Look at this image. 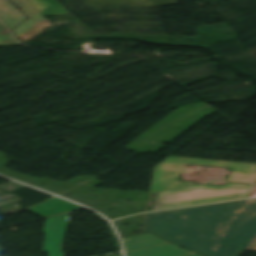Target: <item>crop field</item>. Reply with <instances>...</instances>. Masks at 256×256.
<instances>
[{
    "label": "crop field",
    "mask_w": 256,
    "mask_h": 256,
    "mask_svg": "<svg viewBox=\"0 0 256 256\" xmlns=\"http://www.w3.org/2000/svg\"><path fill=\"white\" fill-rule=\"evenodd\" d=\"M186 164L230 168L234 172L227 181L256 182V164L169 157L154 169L150 192L158 195L152 211L249 197L253 185H193L178 181L180 173L185 172Z\"/></svg>",
    "instance_id": "8a807250"
},
{
    "label": "crop field",
    "mask_w": 256,
    "mask_h": 256,
    "mask_svg": "<svg viewBox=\"0 0 256 256\" xmlns=\"http://www.w3.org/2000/svg\"><path fill=\"white\" fill-rule=\"evenodd\" d=\"M173 211L207 230L256 251V199Z\"/></svg>",
    "instance_id": "ac0d7876"
},
{
    "label": "crop field",
    "mask_w": 256,
    "mask_h": 256,
    "mask_svg": "<svg viewBox=\"0 0 256 256\" xmlns=\"http://www.w3.org/2000/svg\"><path fill=\"white\" fill-rule=\"evenodd\" d=\"M141 229L204 256H238L244 250H249L191 223L172 211L146 214Z\"/></svg>",
    "instance_id": "34b2d1b8"
},
{
    "label": "crop field",
    "mask_w": 256,
    "mask_h": 256,
    "mask_svg": "<svg viewBox=\"0 0 256 256\" xmlns=\"http://www.w3.org/2000/svg\"><path fill=\"white\" fill-rule=\"evenodd\" d=\"M126 256H201L150 234L123 240Z\"/></svg>",
    "instance_id": "412701ff"
},
{
    "label": "crop field",
    "mask_w": 256,
    "mask_h": 256,
    "mask_svg": "<svg viewBox=\"0 0 256 256\" xmlns=\"http://www.w3.org/2000/svg\"><path fill=\"white\" fill-rule=\"evenodd\" d=\"M69 214L49 218L46 220L44 233H47L43 251L50 252V256H65L61 252L68 222Z\"/></svg>",
    "instance_id": "f4fd0767"
},
{
    "label": "crop field",
    "mask_w": 256,
    "mask_h": 256,
    "mask_svg": "<svg viewBox=\"0 0 256 256\" xmlns=\"http://www.w3.org/2000/svg\"><path fill=\"white\" fill-rule=\"evenodd\" d=\"M78 209H83L82 207H79L75 204H72L70 202H67L63 199H60L58 197L52 198L50 201L43 203L39 206H36L34 208L28 209L42 217L60 214L64 212L74 211Z\"/></svg>",
    "instance_id": "dd49c442"
},
{
    "label": "crop field",
    "mask_w": 256,
    "mask_h": 256,
    "mask_svg": "<svg viewBox=\"0 0 256 256\" xmlns=\"http://www.w3.org/2000/svg\"><path fill=\"white\" fill-rule=\"evenodd\" d=\"M16 4L30 19L14 30L17 37L26 31L32 25L39 23L46 18L28 1V0H11Z\"/></svg>",
    "instance_id": "e52e79f7"
},
{
    "label": "crop field",
    "mask_w": 256,
    "mask_h": 256,
    "mask_svg": "<svg viewBox=\"0 0 256 256\" xmlns=\"http://www.w3.org/2000/svg\"><path fill=\"white\" fill-rule=\"evenodd\" d=\"M27 17L22 14L8 0H0V20L10 29L20 22L26 20ZM18 26V25H17Z\"/></svg>",
    "instance_id": "d8731c3e"
},
{
    "label": "crop field",
    "mask_w": 256,
    "mask_h": 256,
    "mask_svg": "<svg viewBox=\"0 0 256 256\" xmlns=\"http://www.w3.org/2000/svg\"><path fill=\"white\" fill-rule=\"evenodd\" d=\"M43 15L70 13L56 0H29Z\"/></svg>",
    "instance_id": "5a996713"
},
{
    "label": "crop field",
    "mask_w": 256,
    "mask_h": 256,
    "mask_svg": "<svg viewBox=\"0 0 256 256\" xmlns=\"http://www.w3.org/2000/svg\"><path fill=\"white\" fill-rule=\"evenodd\" d=\"M50 25V22L48 20L43 21L37 25L32 26L29 28L26 32H24L21 36L18 38L24 42L36 35H38L40 32H42L45 28H47ZM31 40V39H30ZM29 41V40H28ZM27 42V41H26Z\"/></svg>",
    "instance_id": "3316defc"
},
{
    "label": "crop field",
    "mask_w": 256,
    "mask_h": 256,
    "mask_svg": "<svg viewBox=\"0 0 256 256\" xmlns=\"http://www.w3.org/2000/svg\"><path fill=\"white\" fill-rule=\"evenodd\" d=\"M19 44L11 33L0 23V46Z\"/></svg>",
    "instance_id": "28ad6ade"
},
{
    "label": "crop field",
    "mask_w": 256,
    "mask_h": 256,
    "mask_svg": "<svg viewBox=\"0 0 256 256\" xmlns=\"http://www.w3.org/2000/svg\"><path fill=\"white\" fill-rule=\"evenodd\" d=\"M0 252H5V251L0 247Z\"/></svg>",
    "instance_id": "d1516ede"
}]
</instances>
